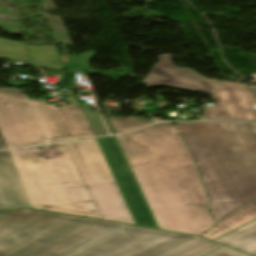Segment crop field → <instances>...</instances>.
<instances>
[{"label": "crop field", "mask_w": 256, "mask_h": 256, "mask_svg": "<svg viewBox=\"0 0 256 256\" xmlns=\"http://www.w3.org/2000/svg\"><path fill=\"white\" fill-rule=\"evenodd\" d=\"M193 238L27 209L0 220V256H158Z\"/></svg>", "instance_id": "crop-field-1"}, {"label": "crop field", "mask_w": 256, "mask_h": 256, "mask_svg": "<svg viewBox=\"0 0 256 256\" xmlns=\"http://www.w3.org/2000/svg\"><path fill=\"white\" fill-rule=\"evenodd\" d=\"M116 137L160 229L201 235L215 225L197 168L173 123Z\"/></svg>", "instance_id": "crop-field-2"}, {"label": "crop field", "mask_w": 256, "mask_h": 256, "mask_svg": "<svg viewBox=\"0 0 256 256\" xmlns=\"http://www.w3.org/2000/svg\"><path fill=\"white\" fill-rule=\"evenodd\" d=\"M200 173L215 223L256 196V135L248 123H177Z\"/></svg>", "instance_id": "crop-field-3"}, {"label": "crop field", "mask_w": 256, "mask_h": 256, "mask_svg": "<svg viewBox=\"0 0 256 256\" xmlns=\"http://www.w3.org/2000/svg\"><path fill=\"white\" fill-rule=\"evenodd\" d=\"M8 151L32 207L101 219L64 142Z\"/></svg>", "instance_id": "crop-field-4"}, {"label": "crop field", "mask_w": 256, "mask_h": 256, "mask_svg": "<svg viewBox=\"0 0 256 256\" xmlns=\"http://www.w3.org/2000/svg\"><path fill=\"white\" fill-rule=\"evenodd\" d=\"M170 57V54L159 56V64L154 65L143 82L148 86L210 92L216 104L205 107V119L256 121V110L252 109L256 101L245 85L208 80L189 68L174 66Z\"/></svg>", "instance_id": "crop-field-5"}, {"label": "crop field", "mask_w": 256, "mask_h": 256, "mask_svg": "<svg viewBox=\"0 0 256 256\" xmlns=\"http://www.w3.org/2000/svg\"><path fill=\"white\" fill-rule=\"evenodd\" d=\"M102 219L134 224L95 139L66 142Z\"/></svg>", "instance_id": "crop-field-6"}, {"label": "crop field", "mask_w": 256, "mask_h": 256, "mask_svg": "<svg viewBox=\"0 0 256 256\" xmlns=\"http://www.w3.org/2000/svg\"><path fill=\"white\" fill-rule=\"evenodd\" d=\"M96 140L135 224L159 229L116 137Z\"/></svg>", "instance_id": "crop-field-7"}, {"label": "crop field", "mask_w": 256, "mask_h": 256, "mask_svg": "<svg viewBox=\"0 0 256 256\" xmlns=\"http://www.w3.org/2000/svg\"><path fill=\"white\" fill-rule=\"evenodd\" d=\"M0 130L8 148L45 143L19 90L0 89Z\"/></svg>", "instance_id": "crop-field-8"}, {"label": "crop field", "mask_w": 256, "mask_h": 256, "mask_svg": "<svg viewBox=\"0 0 256 256\" xmlns=\"http://www.w3.org/2000/svg\"><path fill=\"white\" fill-rule=\"evenodd\" d=\"M0 203L31 208L7 150L0 151Z\"/></svg>", "instance_id": "crop-field-9"}, {"label": "crop field", "mask_w": 256, "mask_h": 256, "mask_svg": "<svg viewBox=\"0 0 256 256\" xmlns=\"http://www.w3.org/2000/svg\"><path fill=\"white\" fill-rule=\"evenodd\" d=\"M256 219V197L236 210L219 224L213 226L202 236L213 240L252 220Z\"/></svg>", "instance_id": "crop-field-10"}, {"label": "crop field", "mask_w": 256, "mask_h": 256, "mask_svg": "<svg viewBox=\"0 0 256 256\" xmlns=\"http://www.w3.org/2000/svg\"><path fill=\"white\" fill-rule=\"evenodd\" d=\"M215 241L256 256V221Z\"/></svg>", "instance_id": "crop-field-11"}, {"label": "crop field", "mask_w": 256, "mask_h": 256, "mask_svg": "<svg viewBox=\"0 0 256 256\" xmlns=\"http://www.w3.org/2000/svg\"><path fill=\"white\" fill-rule=\"evenodd\" d=\"M71 105L59 108L75 138L94 136L89 123L75 97H68Z\"/></svg>", "instance_id": "crop-field-12"}, {"label": "crop field", "mask_w": 256, "mask_h": 256, "mask_svg": "<svg viewBox=\"0 0 256 256\" xmlns=\"http://www.w3.org/2000/svg\"><path fill=\"white\" fill-rule=\"evenodd\" d=\"M31 107L48 142L64 140L45 100L30 99Z\"/></svg>", "instance_id": "crop-field-13"}, {"label": "crop field", "mask_w": 256, "mask_h": 256, "mask_svg": "<svg viewBox=\"0 0 256 256\" xmlns=\"http://www.w3.org/2000/svg\"><path fill=\"white\" fill-rule=\"evenodd\" d=\"M34 65L54 69H65L55 46H37L26 44Z\"/></svg>", "instance_id": "crop-field-14"}, {"label": "crop field", "mask_w": 256, "mask_h": 256, "mask_svg": "<svg viewBox=\"0 0 256 256\" xmlns=\"http://www.w3.org/2000/svg\"><path fill=\"white\" fill-rule=\"evenodd\" d=\"M220 247V245L211 243L200 237H197L179 247H176L160 256H201L211 250Z\"/></svg>", "instance_id": "crop-field-15"}, {"label": "crop field", "mask_w": 256, "mask_h": 256, "mask_svg": "<svg viewBox=\"0 0 256 256\" xmlns=\"http://www.w3.org/2000/svg\"><path fill=\"white\" fill-rule=\"evenodd\" d=\"M0 58L29 60L23 43L0 39Z\"/></svg>", "instance_id": "crop-field-16"}, {"label": "crop field", "mask_w": 256, "mask_h": 256, "mask_svg": "<svg viewBox=\"0 0 256 256\" xmlns=\"http://www.w3.org/2000/svg\"><path fill=\"white\" fill-rule=\"evenodd\" d=\"M109 119L116 133L138 129L150 124L149 120L135 118V117H127V118L111 117Z\"/></svg>", "instance_id": "crop-field-17"}, {"label": "crop field", "mask_w": 256, "mask_h": 256, "mask_svg": "<svg viewBox=\"0 0 256 256\" xmlns=\"http://www.w3.org/2000/svg\"><path fill=\"white\" fill-rule=\"evenodd\" d=\"M89 123H90V126L94 132V135L95 136H98V135H108L99 115L95 114V113H92L89 111V109L87 107L85 108H82Z\"/></svg>", "instance_id": "crop-field-18"}, {"label": "crop field", "mask_w": 256, "mask_h": 256, "mask_svg": "<svg viewBox=\"0 0 256 256\" xmlns=\"http://www.w3.org/2000/svg\"><path fill=\"white\" fill-rule=\"evenodd\" d=\"M68 73H85L77 56H60Z\"/></svg>", "instance_id": "crop-field-19"}, {"label": "crop field", "mask_w": 256, "mask_h": 256, "mask_svg": "<svg viewBox=\"0 0 256 256\" xmlns=\"http://www.w3.org/2000/svg\"><path fill=\"white\" fill-rule=\"evenodd\" d=\"M49 107L54 115V118L60 128V131L64 137L65 140L67 139H72L73 136L70 133V131L68 130L67 126L65 125V123L63 122L62 118L60 117L56 107L54 106V104H49Z\"/></svg>", "instance_id": "crop-field-20"}, {"label": "crop field", "mask_w": 256, "mask_h": 256, "mask_svg": "<svg viewBox=\"0 0 256 256\" xmlns=\"http://www.w3.org/2000/svg\"><path fill=\"white\" fill-rule=\"evenodd\" d=\"M205 256H248V255L223 246L222 248Z\"/></svg>", "instance_id": "crop-field-21"}, {"label": "crop field", "mask_w": 256, "mask_h": 256, "mask_svg": "<svg viewBox=\"0 0 256 256\" xmlns=\"http://www.w3.org/2000/svg\"><path fill=\"white\" fill-rule=\"evenodd\" d=\"M95 55V52H87V53H82L79 55L80 61L87 72V74H98L97 70H91L88 66L89 60Z\"/></svg>", "instance_id": "crop-field-22"}, {"label": "crop field", "mask_w": 256, "mask_h": 256, "mask_svg": "<svg viewBox=\"0 0 256 256\" xmlns=\"http://www.w3.org/2000/svg\"><path fill=\"white\" fill-rule=\"evenodd\" d=\"M0 207L4 208V209H9V210H15V209L20 208V207H16V206H8V205H1V204H0Z\"/></svg>", "instance_id": "crop-field-23"}, {"label": "crop field", "mask_w": 256, "mask_h": 256, "mask_svg": "<svg viewBox=\"0 0 256 256\" xmlns=\"http://www.w3.org/2000/svg\"><path fill=\"white\" fill-rule=\"evenodd\" d=\"M101 116H102V118H103V120H104V122H105V124H106V126H107V128H108V130L110 132V134H113V132H112V130H111L109 124H108V121L106 119V116L105 115H101Z\"/></svg>", "instance_id": "crop-field-24"}, {"label": "crop field", "mask_w": 256, "mask_h": 256, "mask_svg": "<svg viewBox=\"0 0 256 256\" xmlns=\"http://www.w3.org/2000/svg\"><path fill=\"white\" fill-rule=\"evenodd\" d=\"M4 148H7V147H6L5 142L2 138V135L0 133V149H4Z\"/></svg>", "instance_id": "crop-field-25"}, {"label": "crop field", "mask_w": 256, "mask_h": 256, "mask_svg": "<svg viewBox=\"0 0 256 256\" xmlns=\"http://www.w3.org/2000/svg\"><path fill=\"white\" fill-rule=\"evenodd\" d=\"M8 212H9V211H5V210H3V209H0V219H1L4 215H6Z\"/></svg>", "instance_id": "crop-field-26"}, {"label": "crop field", "mask_w": 256, "mask_h": 256, "mask_svg": "<svg viewBox=\"0 0 256 256\" xmlns=\"http://www.w3.org/2000/svg\"><path fill=\"white\" fill-rule=\"evenodd\" d=\"M250 126L253 128V130L255 131V133H256V123H252V124H250ZM256 135V134H255Z\"/></svg>", "instance_id": "crop-field-27"}, {"label": "crop field", "mask_w": 256, "mask_h": 256, "mask_svg": "<svg viewBox=\"0 0 256 256\" xmlns=\"http://www.w3.org/2000/svg\"><path fill=\"white\" fill-rule=\"evenodd\" d=\"M0 11H3V12H5V13L9 14V12H8L7 10L0 9Z\"/></svg>", "instance_id": "crop-field-28"}, {"label": "crop field", "mask_w": 256, "mask_h": 256, "mask_svg": "<svg viewBox=\"0 0 256 256\" xmlns=\"http://www.w3.org/2000/svg\"><path fill=\"white\" fill-rule=\"evenodd\" d=\"M253 92L255 93V95H256V90H253Z\"/></svg>", "instance_id": "crop-field-29"}]
</instances>
